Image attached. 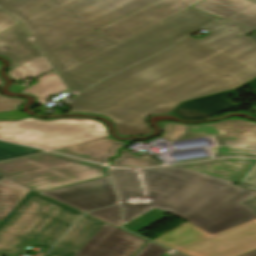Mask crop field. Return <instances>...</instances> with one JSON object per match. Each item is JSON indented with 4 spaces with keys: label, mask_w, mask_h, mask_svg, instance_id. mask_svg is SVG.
I'll use <instances>...</instances> for the list:
<instances>
[{
    "label": "crop field",
    "mask_w": 256,
    "mask_h": 256,
    "mask_svg": "<svg viewBox=\"0 0 256 256\" xmlns=\"http://www.w3.org/2000/svg\"><path fill=\"white\" fill-rule=\"evenodd\" d=\"M200 41L189 37L162 54L62 103L70 112L98 113L122 136L146 135L145 118L183 102L234 88L256 77L253 32L221 21ZM168 114V113H167Z\"/></svg>",
    "instance_id": "crop-field-1"
},
{
    "label": "crop field",
    "mask_w": 256,
    "mask_h": 256,
    "mask_svg": "<svg viewBox=\"0 0 256 256\" xmlns=\"http://www.w3.org/2000/svg\"><path fill=\"white\" fill-rule=\"evenodd\" d=\"M139 171L150 202L122 204L124 224L154 207L211 234L256 218L238 204L253 192L229 181L174 166Z\"/></svg>",
    "instance_id": "crop-field-2"
},
{
    "label": "crop field",
    "mask_w": 256,
    "mask_h": 256,
    "mask_svg": "<svg viewBox=\"0 0 256 256\" xmlns=\"http://www.w3.org/2000/svg\"><path fill=\"white\" fill-rule=\"evenodd\" d=\"M158 0H0L44 54Z\"/></svg>",
    "instance_id": "crop-field-3"
},
{
    "label": "crop field",
    "mask_w": 256,
    "mask_h": 256,
    "mask_svg": "<svg viewBox=\"0 0 256 256\" xmlns=\"http://www.w3.org/2000/svg\"><path fill=\"white\" fill-rule=\"evenodd\" d=\"M220 18L188 8L59 74L71 90L79 91L173 44Z\"/></svg>",
    "instance_id": "crop-field-4"
},
{
    "label": "crop field",
    "mask_w": 256,
    "mask_h": 256,
    "mask_svg": "<svg viewBox=\"0 0 256 256\" xmlns=\"http://www.w3.org/2000/svg\"><path fill=\"white\" fill-rule=\"evenodd\" d=\"M105 168L54 153L0 162V220L30 189L42 192L104 176Z\"/></svg>",
    "instance_id": "crop-field-5"
},
{
    "label": "crop field",
    "mask_w": 256,
    "mask_h": 256,
    "mask_svg": "<svg viewBox=\"0 0 256 256\" xmlns=\"http://www.w3.org/2000/svg\"><path fill=\"white\" fill-rule=\"evenodd\" d=\"M81 215L31 191L0 222V256H19L30 244L50 248Z\"/></svg>",
    "instance_id": "crop-field-6"
},
{
    "label": "crop field",
    "mask_w": 256,
    "mask_h": 256,
    "mask_svg": "<svg viewBox=\"0 0 256 256\" xmlns=\"http://www.w3.org/2000/svg\"><path fill=\"white\" fill-rule=\"evenodd\" d=\"M108 137L96 120L68 118L42 121L26 119L0 122V139L48 150Z\"/></svg>",
    "instance_id": "crop-field-7"
},
{
    "label": "crop field",
    "mask_w": 256,
    "mask_h": 256,
    "mask_svg": "<svg viewBox=\"0 0 256 256\" xmlns=\"http://www.w3.org/2000/svg\"><path fill=\"white\" fill-rule=\"evenodd\" d=\"M154 241L189 256H240L256 250V219L214 235L187 222Z\"/></svg>",
    "instance_id": "crop-field-8"
},
{
    "label": "crop field",
    "mask_w": 256,
    "mask_h": 256,
    "mask_svg": "<svg viewBox=\"0 0 256 256\" xmlns=\"http://www.w3.org/2000/svg\"><path fill=\"white\" fill-rule=\"evenodd\" d=\"M213 136L217 146L211 148L215 157L239 155L256 157V123L227 119L195 125L186 139Z\"/></svg>",
    "instance_id": "crop-field-9"
},
{
    "label": "crop field",
    "mask_w": 256,
    "mask_h": 256,
    "mask_svg": "<svg viewBox=\"0 0 256 256\" xmlns=\"http://www.w3.org/2000/svg\"><path fill=\"white\" fill-rule=\"evenodd\" d=\"M201 0H160L96 31L122 41Z\"/></svg>",
    "instance_id": "crop-field-10"
},
{
    "label": "crop field",
    "mask_w": 256,
    "mask_h": 256,
    "mask_svg": "<svg viewBox=\"0 0 256 256\" xmlns=\"http://www.w3.org/2000/svg\"><path fill=\"white\" fill-rule=\"evenodd\" d=\"M42 194L68 204L82 212L117 202L108 177Z\"/></svg>",
    "instance_id": "crop-field-11"
},
{
    "label": "crop field",
    "mask_w": 256,
    "mask_h": 256,
    "mask_svg": "<svg viewBox=\"0 0 256 256\" xmlns=\"http://www.w3.org/2000/svg\"><path fill=\"white\" fill-rule=\"evenodd\" d=\"M145 242L106 223L75 256H132Z\"/></svg>",
    "instance_id": "crop-field-12"
},
{
    "label": "crop field",
    "mask_w": 256,
    "mask_h": 256,
    "mask_svg": "<svg viewBox=\"0 0 256 256\" xmlns=\"http://www.w3.org/2000/svg\"><path fill=\"white\" fill-rule=\"evenodd\" d=\"M116 43L118 42L93 31L46 54V57L53 67L59 71Z\"/></svg>",
    "instance_id": "crop-field-13"
},
{
    "label": "crop field",
    "mask_w": 256,
    "mask_h": 256,
    "mask_svg": "<svg viewBox=\"0 0 256 256\" xmlns=\"http://www.w3.org/2000/svg\"><path fill=\"white\" fill-rule=\"evenodd\" d=\"M191 8L256 29V3L248 0H205Z\"/></svg>",
    "instance_id": "crop-field-14"
},
{
    "label": "crop field",
    "mask_w": 256,
    "mask_h": 256,
    "mask_svg": "<svg viewBox=\"0 0 256 256\" xmlns=\"http://www.w3.org/2000/svg\"><path fill=\"white\" fill-rule=\"evenodd\" d=\"M253 82V80L232 90L220 92L195 100L178 104L171 114L182 119H201L237 106L227 98L237 89Z\"/></svg>",
    "instance_id": "crop-field-15"
},
{
    "label": "crop field",
    "mask_w": 256,
    "mask_h": 256,
    "mask_svg": "<svg viewBox=\"0 0 256 256\" xmlns=\"http://www.w3.org/2000/svg\"><path fill=\"white\" fill-rule=\"evenodd\" d=\"M105 224L84 214L46 256H74Z\"/></svg>",
    "instance_id": "crop-field-16"
},
{
    "label": "crop field",
    "mask_w": 256,
    "mask_h": 256,
    "mask_svg": "<svg viewBox=\"0 0 256 256\" xmlns=\"http://www.w3.org/2000/svg\"><path fill=\"white\" fill-rule=\"evenodd\" d=\"M254 163L255 160L223 158L176 166L238 183Z\"/></svg>",
    "instance_id": "crop-field-17"
},
{
    "label": "crop field",
    "mask_w": 256,
    "mask_h": 256,
    "mask_svg": "<svg viewBox=\"0 0 256 256\" xmlns=\"http://www.w3.org/2000/svg\"><path fill=\"white\" fill-rule=\"evenodd\" d=\"M27 40L29 39L18 25L0 34V56L11 60L9 69L40 56L37 49L30 46Z\"/></svg>",
    "instance_id": "crop-field-18"
},
{
    "label": "crop field",
    "mask_w": 256,
    "mask_h": 256,
    "mask_svg": "<svg viewBox=\"0 0 256 256\" xmlns=\"http://www.w3.org/2000/svg\"><path fill=\"white\" fill-rule=\"evenodd\" d=\"M123 145H125V142L106 138L53 151L101 164H108V158L116 156L117 149Z\"/></svg>",
    "instance_id": "crop-field-19"
},
{
    "label": "crop field",
    "mask_w": 256,
    "mask_h": 256,
    "mask_svg": "<svg viewBox=\"0 0 256 256\" xmlns=\"http://www.w3.org/2000/svg\"><path fill=\"white\" fill-rule=\"evenodd\" d=\"M109 172L121 202H127L129 198L145 197L136 170L112 169Z\"/></svg>",
    "instance_id": "crop-field-20"
},
{
    "label": "crop field",
    "mask_w": 256,
    "mask_h": 256,
    "mask_svg": "<svg viewBox=\"0 0 256 256\" xmlns=\"http://www.w3.org/2000/svg\"><path fill=\"white\" fill-rule=\"evenodd\" d=\"M37 81L40 83L23 90V92L38 98L40 104H45L46 98L60 91L66 90V87L63 85L59 77L53 72L37 79Z\"/></svg>",
    "instance_id": "crop-field-21"
},
{
    "label": "crop field",
    "mask_w": 256,
    "mask_h": 256,
    "mask_svg": "<svg viewBox=\"0 0 256 256\" xmlns=\"http://www.w3.org/2000/svg\"><path fill=\"white\" fill-rule=\"evenodd\" d=\"M52 71L51 67L43 59L42 56L16 68L10 70L8 75L14 81L24 79V78H37L43 74Z\"/></svg>",
    "instance_id": "crop-field-22"
},
{
    "label": "crop field",
    "mask_w": 256,
    "mask_h": 256,
    "mask_svg": "<svg viewBox=\"0 0 256 256\" xmlns=\"http://www.w3.org/2000/svg\"><path fill=\"white\" fill-rule=\"evenodd\" d=\"M121 157L113 159V166L117 167H150L161 165L150 157H137L126 150H121Z\"/></svg>",
    "instance_id": "crop-field-23"
},
{
    "label": "crop field",
    "mask_w": 256,
    "mask_h": 256,
    "mask_svg": "<svg viewBox=\"0 0 256 256\" xmlns=\"http://www.w3.org/2000/svg\"><path fill=\"white\" fill-rule=\"evenodd\" d=\"M166 212L160 211L157 209H153L152 211L130 221L129 223L123 225L124 228L136 233L149 225L153 224L154 222L158 221L159 219L163 218V214Z\"/></svg>",
    "instance_id": "crop-field-24"
},
{
    "label": "crop field",
    "mask_w": 256,
    "mask_h": 256,
    "mask_svg": "<svg viewBox=\"0 0 256 256\" xmlns=\"http://www.w3.org/2000/svg\"><path fill=\"white\" fill-rule=\"evenodd\" d=\"M37 152L40 151L0 142V160L12 157L25 156Z\"/></svg>",
    "instance_id": "crop-field-25"
},
{
    "label": "crop field",
    "mask_w": 256,
    "mask_h": 256,
    "mask_svg": "<svg viewBox=\"0 0 256 256\" xmlns=\"http://www.w3.org/2000/svg\"><path fill=\"white\" fill-rule=\"evenodd\" d=\"M88 214L105 222L111 223L117 227L120 225V208L118 205L106 209L96 210Z\"/></svg>",
    "instance_id": "crop-field-26"
},
{
    "label": "crop field",
    "mask_w": 256,
    "mask_h": 256,
    "mask_svg": "<svg viewBox=\"0 0 256 256\" xmlns=\"http://www.w3.org/2000/svg\"><path fill=\"white\" fill-rule=\"evenodd\" d=\"M20 98H5L0 96V112L18 110V107L24 102Z\"/></svg>",
    "instance_id": "crop-field-27"
},
{
    "label": "crop field",
    "mask_w": 256,
    "mask_h": 256,
    "mask_svg": "<svg viewBox=\"0 0 256 256\" xmlns=\"http://www.w3.org/2000/svg\"><path fill=\"white\" fill-rule=\"evenodd\" d=\"M166 251H168V249L149 242L136 256H160Z\"/></svg>",
    "instance_id": "crop-field-28"
},
{
    "label": "crop field",
    "mask_w": 256,
    "mask_h": 256,
    "mask_svg": "<svg viewBox=\"0 0 256 256\" xmlns=\"http://www.w3.org/2000/svg\"><path fill=\"white\" fill-rule=\"evenodd\" d=\"M239 185L256 191V164L245 175Z\"/></svg>",
    "instance_id": "crop-field-29"
},
{
    "label": "crop field",
    "mask_w": 256,
    "mask_h": 256,
    "mask_svg": "<svg viewBox=\"0 0 256 256\" xmlns=\"http://www.w3.org/2000/svg\"><path fill=\"white\" fill-rule=\"evenodd\" d=\"M12 19L6 13H4L2 10H0V32L17 24Z\"/></svg>",
    "instance_id": "crop-field-30"
},
{
    "label": "crop field",
    "mask_w": 256,
    "mask_h": 256,
    "mask_svg": "<svg viewBox=\"0 0 256 256\" xmlns=\"http://www.w3.org/2000/svg\"><path fill=\"white\" fill-rule=\"evenodd\" d=\"M26 117L19 111L2 112L0 113V121H16Z\"/></svg>",
    "instance_id": "crop-field-31"
},
{
    "label": "crop field",
    "mask_w": 256,
    "mask_h": 256,
    "mask_svg": "<svg viewBox=\"0 0 256 256\" xmlns=\"http://www.w3.org/2000/svg\"><path fill=\"white\" fill-rule=\"evenodd\" d=\"M239 204H241L256 216V194L251 195Z\"/></svg>",
    "instance_id": "crop-field-32"
},
{
    "label": "crop field",
    "mask_w": 256,
    "mask_h": 256,
    "mask_svg": "<svg viewBox=\"0 0 256 256\" xmlns=\"http://www.w3.org/2000/svg\"><path fill=\"white\" fill-rule=\"evenodd\" d=\"M138 174H139V171H138ZM139 177H140V174H139ZM140 181H141V184H142V187H143V190H144V186H143V182H142L141 177H140ZM144 193H145V190H144ZM145 196H146V194H145ZM129 202L139 204V203H142V202H148V199H147V197L146 198H135V199H130Z\"/></svg>",
    "instance_id": "crop-field-33"
},
{
    "label": "crop field",
    "mask_w": 256,
    "mask_h": 256,
    "mask_svg": "<svg viewBox=\"0 0 256 256\" xmlns=\"http://www.w3.org/2000/svg\"><path fill=\"white\" fill-rule=\"evenodd\" d=\"M194 125H192L178 140L184 139L187 134L190 132V130L193 128Z\"/></svg>",
    "instance_id": "crop-field-34"
},
{
    "label": "crop field",
    "mask_w": 256,
    "mask_h": 256,
    "mask_svg": "<svg viewBox=\"0 0 256 256\" xmlns=\"http://www.w3.org/2000/svg\"><path fill=\"white\" fill-rule=\"evenodd\" d=\"M249 38L252 39L256 43V32L249 35Z\"/></svg>",
    "instance_id": "crop-field-35"
},
{
    "label": "crop field",
    "mask_w": 256,
    "mask_h": 256,
    "mask_svg": "<svg viewBox=\"0 0 256 256\" xmlns=\"http://www.w3.org/2000/svg\"><path fill=\"white\" fill-rule=\"evenodd\" d=\"M243 256H256V251L250 252V253L245 254Z\"/></svg>",
    "instance_id": "crop-field-36"
},
{
    "label": "crop field",
    "mask_w": 256,
    "mask_h": 256,
    "mask_svg": "<svg viewBox=\"0 0 256 256\" xmlns=\"http://www.w3.org/2000/svg\"><path fill=\"white\" fill-rule=\"evenodd\" d=\"M3 84V81L1 80V78H0V85H2Z\"/></svg>",
    "instance_id": "crop-field-37"
},
{
    "label": "crop field",
    "mask_w": 256,
    "mask_h": 256,
    "mask_svg": "<svg viewBox=\"0 0 256 256\" xmlns=\"http://www.w3.org/2000/svg\"><path fill=\"white\" fill-rule=\"evenodd\" d=\"M253 1H255V2H256V0H253Z\"/></svg>",
    "instance_id": "crop-field-38"
},
{
    "label": "crop field",
    "mask_w": 256,
    "mask_h": 256,
    "mask_svg": "<svg viewBox=\"0 0 256 256\" xmlns=\"http://www.w3.org/2000/svg\"><path fill=\"white\" fill-rule=\"evenodd\" d=\"M254 80H256V78Z\"/></svg>",
    "instance_id": "crop-field-39"
}]
</instances>
